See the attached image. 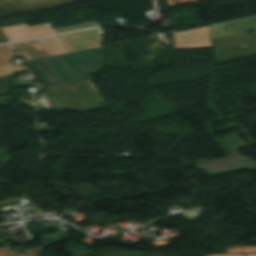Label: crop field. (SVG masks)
<instances>
[{
  "label": "crop field",
  "instance_id": "crop-field-1",
  "mask_svg": "<svg viewBox=\"0 0 256 256\" xmlns=\"http://www.w3.org/2000/svg\"><path fill=\"white\" fill-rule=\"evenodd\" d=\"M45 60L63 84L89 80V75L103 69V47Z\"/></svg>",
  "mask_w": 256,
  "mask_h": 256
},
{
  "label": "crop field",
  "instance_id": "crop-field-2",
  "mask_svg": "<svg viewBox=\"0 0 256 256\" xmlns=\"http://www.w3.org/2000/svg\"><path fill=\"white\" fill-rule=\"evenodd\" d=\"M212 38L256 30V18L211 27ZM211 47L209 27L174 34V49Z\"/></svg>",
  "mask_w": 256,
  "mask_h": 256
},
{
  "label": "crop field",
  "instance_id": "crop-field-3",
  "mask_svg": "<svg viewBox=\"0 0 256 256\" xmlns=\"http://www.w3.org/2000/svg\"><path fill=\"white\" fill-rule=\"evenodd\" d=\"M216 140L230 157L195 167L205 169L211 176L237 169L256 170L255 162L236 154L235 149L243 147L244 145L235 135L217 138Z\"/></svg>",
  "mask_w": 256,
  "mask_h": 256
},
{
  "label": "crop field",
  "instance_id": "crop-field-4",
  "mask_svg": "<svg viewBox=\"0 0 256 256\" xmlns=\"http://www.w3.org/2000/svg\"><path fill=\"white\" fill-rule=\"evenodd\" d=\"M59 37L71 52L101 46L100 28L60 35Z\"/></svg>",
  "mask_w": 256,
  "mask_h": 256
},
{
  "label": "crop field",
  "instance_id": "crop-field-5",
  "mask_svg": "<svg viewBox=\"0 0 256 256\" xmlns=\"http://www.w3.org/2000/svg\"><path fill=\"white\" fill-rule=\"evenodd\" d=\"M67 233H61L53 236L43 237V241L45 242L43 247H35L32 248L31 251H24L23 255L13 252L9 249V247L0 249V256H40L41 250L44 247L59 243L63 240L68 239Z\"/></svg>",
  "mask_w": 256,
  "mask_h": 256
},
{
  "label": "crop field",
  "instance_id": "crop-field-6",
  "mask_svg": "<svg viewBox=\"0 0 256 256\" xmlns=\"http://www.w3.org/2000/svg\"><path fill=\"white\" fill-rule=\"evenodd\" d=\"M17 57L14 51L0 54V76L11 75L21 72H26L25 66L14 67L11 59Z\"/></svg>",
  "mask_w": 256,
  "mask_h": 256
},
{
  "label": "crop field",
  "instance_id": "crop-field-7",
  "mask_svg": "<svg viewBox=\"0 0 256 256\" xmlns=\"http://www.w3.org/2000/svg\"><path fill=\"white\" fill-rule=\"evenodd\" d=\"M30 63L33 65V67L36 69V71L39 73V75L42 77L48 87L61 84L43 59L32 60L30 61Z\"/></svg>",
  "mask_w": 256,
  "mask_h": 256
},
{
  "label": "crop field",
  "instance_id": "crop-field-8",
  "mask_svg": "<svg viewBox=\"0 0 256 256\" xmlns=\"http://www.w3.org/2000/svg\"><path fill=\"white\" fill-rule=\"evenodd\" d=\"M39 41L45 47L50 56L68 52L57 36L41 38Z\"/></svg>",
  "mask_w": 256,
  "mask_h": 256
},
{
  "label": "crop field",
  "instance_id": "crop-field-9",
  "mask_svg": "<svg viewBox=\"0 0 256 256\" xmlns=\"http://www.w3.org/2000/svg\"><path fill=\"white\" fill-rule=\"evenodd\" d=\"M15 46H16L17 49L18 48H28L29 51L32 53V55L35 58H41V57L49 56V54L43 48V46L38 41V39L27 41V42L15 43Z\"/></svg>",
  "mask_w": 256,
  "mask_h": 256
},
{
  "label": "crop field",
  "instance_id": "crop-field-10",
  "mask_svg": "<svg viewBox=\"0 0 256 256\" xmlns=\"http://www.w3.org/2000/svg\"><path fill=\"white\" fill-rule=\"evenodd\" d=\"M248 248H232L226 251V253L242 254L247 253Z\"/></svg>",
  "mask_w": 256,
  "mask_h": 256
},
{
  "label": "crop field",
  "instance_id": "crop-field-11",
  "mask_svg": "<svg viewBox=\"0 0 256 256\" xmlns=\"http://www.w3.org/2000/svg\"><path fill=\"white\" fill-rule=\"evenodd\" d=\"M19 54L24 58L25 61L33 59L26 49L19 50ZM26 53V54H24Z\"/></svg>",
  "mask_w": 256,
  "mask_h": 256
},
{
  "label": "crop field",
  "instance_id": "crop-field-12",
  "mask_svg": "<svg viewBox=\"0 0 256 256\" xmlns=\"http://www.w3.org/2000/svg\"><path fill=\"white\" fill-rule=\"evenodd\" d=\"M8 50H12V47L10 44L0 46V52H4V51H8Z\"/></svg>",
  "mask_w": 256,
  "mask_h": 256
},
{
  "label": "crop field",
  "instance_id": "crop-field-13",
  "mask_svg": "<svg viewBox=\"0 0 256 256\" xmlns=\"http://www.w3.org/2000/svg\"><path fill=\"white\" fill-rule=\"evenodd\" d=\"M214 256H248V255H230V254H221V255H214Z\"/></svg>",
  "mask_w": 256,
  "mask_h": 256
},
{
  "label": "crop field",
  "instance_id": "crop-field-14",
  "mask_svg": "<svg viewBox=\"0 0 256 256\" xmlns=\"http://www.w3.org/2000/svg\"><path fill=\"white\" fill-rule=\"evenodd\" d=\"M248 253H256V248H249Z\"/></svg>",
  "mask_w": 256,
  "mask_h": 256
},
{
  "label": "crop field",
  "instance_id": "crop-field-15",
  "mask_svg": "<svg viewBox=\"0 0 256 256\" xmlns=\"http://www.w3.org/2000/svg\"><path fill=\"white\" fill-rule=\"evenodd\" d=\"M249 256H256V255H249Z\"/></svg>",
  "mask_w": 256,
  "mask_h": 256
}]
</instances>
